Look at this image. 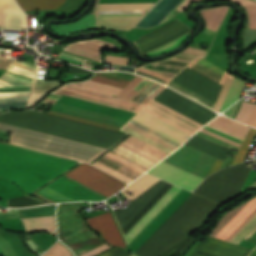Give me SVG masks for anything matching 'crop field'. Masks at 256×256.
Segmentation results:
<instances>
[{
  "label": "crop field",
  "mask_w": 256,
  "mask_h": 256,
  "mask_svg": "<svg viewBox=\"0 0 256 256\" xmlns=\"http://www.w3.org/2000/svg\"><path fill=\"white\" fill-rule=\"evenodd\" d=\"M105 59H106V63H109V64H124V65H126L128 58L106 55Z\"/></svg>",
  "instance_id": "49"
},
{
  "label": "crop field",
  "mask_w": 256,
  "mask_h": 256,
  "mask_svg": "<svg viewBox=\"0 0 256 256\" xmlns=\"http://www.w3.org/2000/svg\"><path fill=\"white\" fill-rule=\"evenodd\" d=\"M22 220L24 222L26 230L44 229L51 233H54V231H55L54 216L29 218V219H22Z\"/></svg>",
  "instance_id": "34"
},
{
  "label": "crop field",
  "mask_w": 256,
  "mask_h": 256,
  "mask_svg": "<svg viewBox=\"0 0 256 256\" xmlns=\"http://www.w3.org/2000/svg\"><path fill=\"white\" fill-rule=\"evenodd\" d=\"M195 57L197 56L180 53L173 58L138 67L136 73L166 83Z\"/></svg>",
  "instance_id": "16"
},
{
  "label": "crop field",
  "mask_w": 256,
  "mask_h": 256,
  "mask_svg": "<svg viewBox=\"0 0 256 256\" xmlns=\"http://www.w3.org/2000/svg\"><path fill=\"white\" fill-rule=\"evenodd\" d=\"M253 105L254 104L243 102L240 111L238 112L237 116L235 117V120L245 123V121L248 119V117L253 109Z\"/></svg>",
  "instance_id": "46"
},
{
  "label": "crop field",
  "mask_w": 256,
  "mask_h": 256,
  "mask_svg": "<svg viewBox=\"0 0 256 256\" xmlns=\"http://www.w3.org/2000/svg\"><path fill=\"white\" fill-rule=\"evenodd\" d=\"M65 0H17L24 11L57 9Z\"/></svg>",
  "instance_id": "33"
},
{
  "label": "crop field",
  "mask_w": 256,
  "mask_h": 256,
  "mask_svg": "<svg viewBox=\"0 0 256 256\" xmlns=\"http://www.w3.org/2000/svg\"><path fill=\"white\" fill-rule=\"evenodd\" d=\"M32 87H0V109L27 108Z\"/></svg>",
  "instance_id": "26"
},
{
  "label": "crop field",
  "mask_w": 256,
  "mask_h": 256,
  "mask_svg": "<svg viewBox=\"0 0 256 256\" xmlns=\"http://www.w3.org/2000/svg\"><path fill=\"white\" fill-rule=\"evenodd\" d=\"M58 58L61 59V60H64V61H68V62H71V63H74V64L81 65V66H82L83 62L85 61L84 58H80V57L70 55V54H67V53H64V52H62L59 55Z\"/></svg>",
  "instance_id": "47"
},
{
  "label": "crop field",
  "mask_w": 256,
  "mask_h": 256,
  "mask_svg": "<svg viewBox=\"0 0 256 256\" xmlns=\"http://www.w3.org/2000/svg\"><path fill=\"white\" fill-rule=\"evenodd\" d=\"M65 47L66 48L64 50L68 52H71L83 57H87L99 62H100L101 47H109V48L117 49V47L112 43L98 41V40L77 42Z\"/></svg>",
  "instance_id": "30"
},
{
  "label": "crop field",
  "mask_w": 256,
  "mask_h": 256,
  "mask_svg": "<svg viewBox=\"0 0 256 256\" xmlns=\"http://www.w3.org/2000/svg\"><path fill=\"white\" fill-rule=\"evenodd\" d=\"M93 80L108 82L112 84L122 85L125 86L128 84L132 79L131 78H125V77H119V76H113V75H107V74H101L98 73L96 77L92 78ZM88 80L80 83H72L68 84L71 86L107 94L114 96L118 91H120L123 87L107 84L103 82ZM149 79H146L144 77L137 76L133 81H131L127 86H125L119 93L115 95V97L128 99L132 94H134L141 86H143ZM157 83L150 80L148 83H146L140 90L144 92H148L152 87H154ZM164 86L161 84H157L153 89H151L146 95L145 93L141 91H137L132 97L129 98L131 101L137 102L141 97H144L140 99L138 102L146 104L154 95H156Z\"/></svg>",
  "instance_id": "7"
},
{
  "label": "crop field",
  "mask_w": 256,
  "mask_h": 256,
  "mask_svg": "<svg viewBox=\"0 0 256 256\" xmlns=\"http://www.w3.org/2000/svg\"><path fill=\"white\" fill-rule=\"evenodd\" d=\"M147 11L95 12L97 28L131 30Z\"/></svg>",
  "instance_id": "18"
},
{
  "label": "crop field",
  "mask_w": 256,
  "mask_h": 256,
  "mask_svg": "<svg viewBox=\"0 0 256 256\" xmlns=\"http://www.w3.org/2000/svg\"><path fill=\"white\" fill-rule=\"evenodd\" d=\"M133 120L179 142L183 143L187 140L186 137H190L192 134L168 123L167 121L145 111H140Z\"/></svg>",
  "instance_id": "21"
},
{
  "label": "crop field",
  "mask_w": 256,
  "mask_h": 256,
  "mask_svg": "<svg viewBox=\"0 0 256 256\" xmlns=\"http://www.w3.org/2000/svg\"><path fill=\"white\" fill-rule=\"evenodd\" d=\"M122 129L167 152L168 154L174 151L180 145L132 120Z\"/></svg>",
  "instance_id": "22"
},
{
  "label": "crop field",
  "mask_w": 256,
  "mask_h": 256,
  "mask_svg": "<svg viewBox=\"0 0 256 256\" xmlns=\"http://www.w3.org/2000/svg\"><path fill=\"white\" fill-rule=\"evenodd\" d=\"M0 122L108 149L126 134L34 111L7 112Z\"/></svg>",
  "instance_id": "3"
},
{
  "label": "crop field",
  "mask_w": 256,
  "mask_h": 256,
  "mask_svg": "<svg viewBox=\"0 0 256 256\" xmlns=\"http://www.w3.org/2000/svg\"><path fill=\"white\" fill-rule=\"evenodd\" d=\"M151 4L99 5L98 11L146 10Z\"/></svg>",
  "instance_id": "39"
},
{
  "label": "crop field",
  "mask_w": 256,
  "mask_h": 256,
  "mask_svg": "<svg viewBox=\"0 0 256 256\" xmlns=\"http://www.w3.org/2000/svg\"><path fill=\"white\" fill-rule=\"evenodd\" d=\"M185 145L190 146L194 149H197L199 151H202L206 154H209L215 158H218L222 161H224L225 157L227 156L229 149L224 148L220 145H217L215 143H212L208 140H205L203 138H200L196 135H193L186 143Z\"/></svg>",
  "instance_id": "31"
},
{
  "label": "crop field",
  "mask_w": 256,
  "mask_h": 256,
  "mask_svg": "<svg viewBox=\"0 0 256 256\" xmlns=\"http://www.w3.org/2000/svg\"><path fill=\"white\" fill-rule=\"evenodd\" d=\"M6 60H7V58L0 56V67L3 65V63H4ZM10 60H11V59H8L0 69H3V68L6 66V64H7ZM13 62H14V61L11 60V61L8 63V65H7L4 69H7ZM15 63H16V61H15L12 65H14ZM12 65H11V66H12ZM11 66H10V67H11ZM10 67H9V68H10ZM9 68H8V69H9Z\"/></svg>",
  "instance_id": "54"
},
{
  "label": "crop field",
  "mask_w": 256,
  "mask_h": 256,
  "mask_svg": "<svg viewBox=\"0 0 256 256\" xmlns=\"http://www.w3.org/2000/svg\"><path fill=\"white\" fill-rule=\"evenodd\" d=\"M193 0H186L179 8L178 10L183 11Z\"/></svg>",
  "instance_id": "59"
},
{
  "label": "crop field",
  "mask_w": 256,
  "mask_h": 256,
  "mask_svg": "<svg viewBox=\"0 0 256 256\" xmlns=\"http://www.w3.org/2000/svg\"><path fill=\"white\" fill-rule=\"evenodd\" d=\"M60 95L51 94L44 102L55 104V102L59 99Z\"/></svg>",
  "instance_id": "55"
},
{
  "label": "crop field",
  "mask_w": 256,
  "mask_h": 256,
  "mask_svg": "<svg viewBox=\"0 0 256 256\" xmlns=\"http://www.w3.org/2000/svg\"><path fill=\"white\" fill-rule=\"evenodd\" d=\"M113 220L114 219L111 213L109 212L100 216L87 219L86 221L88 225L92 227V226H96V225L113 221ZM91 229L98 232L104 240L106 239L108 241L109 244L116 245L126 249V245L123 241V238L119 232V229L115 221L109 222L103 225H99L96 227H92Z\"/></svg>",
  "instance_id": "24"
},
{
  "label": "crop field",
  "mask_w": 256,
  "mask_h": 256,
  "mask_svg": "<svg viewBox=\"0 0 256 256\" xmlns=\"http://www.w3.org/2000/svg\"><path fill=\"white\" fill-rule=\"evenodd\" d=\"M53 111L122 127L135 113L62 95Z\"/></svg>",
  "instance_id": "8"
},
{
  "label": "crop field",
  "mask_w": 256,
  "mask_h": 256,
  "mask_svg": "<svg viewBox=\"0 0 256 256\" xmlns=\"http://www.w3.org/2000/svg\"><path fill=\"white\" fill-rule=\"evenodd\" d=\"M249 256H256V249Z\"/></svg>",
  "instance_id": "61"
},
{
  "label": "crop field",
  "mask_w": 256,
  "mask_h": 256,
  "mask_svg": "<svg viewBox=\"0 0 256 256\" xmlns=\"http://www.w3.org/2000/svg\"><path fill=\"white\" fill-rule=\"evenodd\" d=\"M156 180H158V178L150 176L148 174H144L121 191L130 202L146 188H148L151 184H153ZM179 190L180 188L173 185L162 196V198L124 236L127 244H129L136 237V235L154 218V216L172 199V197Z\"/></svg>",
  "instance_id": "10"
},
{
  "label": "crop field",
  "mask_w": 256,
  "mask_h": 256,
  "mask_svg": "<svg viewBox=\"0 0 256 256\" xmlns=\"http://www.w3.org/2000/svg\"><path fill=\"white\" fill-rule=\"evenodd\" d=\"M66 174L109 196L126 186V183L85 163L78 165Z\"/></svg>",
  "instance_id": "14"
},
{
  "label": "crop field",
  "mask_w": 256,
  "mask_h": 256,
  "mask_svg": "<svg viewBox=\"0 0 256 256\" xmlns=\"http://www.w3.org/2000/svg\"><path fill=\"white\" fill-rule=\"evenodd\" d=\"M184 0H160L153 9H177ZM176 11H150L148 12L137 26L151 27L174 15Z\"/></svg>",
  "instance_id": "29"
},
{
  "label": "crop field",
  "mask_w": 256,
  "mask_h": 256,
  "mask_svg": "<svg viewBox=\"0 0 256 256\" xmlns=\"http://www.w3.org/2000/svg\"><path fill=\"white\" fill-rule=\"evenodd\" d=\"M195 240L196 239L188 236L184 240H182L179 244H177L176 246L172 247L167 252H165L162 256H166L171 250H173L174 248H176L182 243L183 245L175 252L174 255H183L188 250V248L194 243Z\"/></svg>",
  "instance_id": "45"
},
{
  "label": "crop field",
  "mask_w": 256,
  "mask_h": 256,
  "mask_svg": "<svg viewBox=\"0 0 256 256\" xmlns=\"http://www.w3.org/2000/svg\"><path fill=\"white\" fill-rule=\"evenodd\" d=\"M153 100L201 123L206 124L217 116L208 108L168 89L165 88Z\"/></svg>",
  "instance_id": "11"
},
{
  "label": "crop field",
  "mask_w": 256,
  "mask_h": 256,
  "mask_svg": "<svg viewBox=\"0 0 256 256\" xmlns=\"http://www.w3.org/2000/svg\"><path fill=\"white\" fill-rule=\"evenodd\" d=\"M242 99H240L233 106H231L227 111L224 112V114H226L227 116L234 119L235 115L237 114V112L242 104Z\"/></svg>",
  "instance_id": "50"
},
{
  "label": "crop field",
  "mask_w": 256,
  "mask_h": 256,
  "mask_svg": "<svg viewBox=\"0 0 256 256\" xmlns=\"http://www.w3.org/2000/svg\"><path fill=\"white\" fill-rule=\"evenodd\" d=\"M132 255L128 251H124L122 249L114 248L104 254H101L99 256H130Z\"/></svg>",
  "instance_id": "48"
},
{
  "label": "crop field",
  "mask_w": 256,
  "mask_h": 256,
  "mask_svg": "<svg viewBox=\"0 0 256 256\" xmlns=\"http://www.w3.org/2000/svg\"><path fill=\"white\" fill-rule=\"evenodd\" d=\"M36 71L33 65L17 62L0 78V86L33 85Z\"/></svg>",
  "instance_id": "27"
},
{
  "label": "crop field",
  "mask_w": 256,
  "mask_h": 256,
  "mask_svg": "<svg viewBox=\"0 0 256 256\" xmlns=\"http://www.w3.org/2000/svg\"><path fill=\"white\" fill-rule=\"evenodd\" d=\"M255 229H256V228H255ZM255 229H254V230H255ZM254 230H253V231H254ZM249 234H250V233H249ZM249 234H248V235H249ZM248 235H247V236H248ZM247 236H246V237H247ZM246 237H245V238H246ZM245 238H244V239H245ZM246 240H249V241H252V242L256 243V230H255L254 232H252V233L246 238Z\"/></svg>",
  "instance_id": "58"
},
{
  "label": "crop field",
  "mask_w": 256,
  "mask_h": 256,
  "mask_svg": "<svg viewBox=\"0 0 256 256\" xmlns=\"http://www.w3.org/2000/svg\"><path fill=\"white\" fill-rule=\"evenodd\" d=\"M132 256H134V255H132Z\"/></svg>",
  "instance_id": "62"
},
{
  "label": "crop field",
  "mask_w": 256,
  "mask_h": 256,
  "mask_svg": "<svg viewBox=\"0 0 256 256\" xmlns=\"http://www.w3.org/2000/svg\"><path fill=\"white\" fill-rule=\"evenodd\" d=\"M220 206L192 193L135 253L161 256L194 232Z\"/></svg>",
  "instance_id": "2"
},
{
  "label": "crop field",
  "mask_w": 256,
  "mask_h": 256,
  "mask_svg": "<svg viewBox=\"0 0 256 256\" xmlns=\"http://www.w3.org/2000/svg\"><path fill=\"white\" fill-rule=\"evenodd\" d=\"M187 67L205 75L206 77L223 84V81L226 76V72L212 66L208 62H206L204 59L197 57L191 64H189Z\"/></svg>",
  "instance_id": "32"
},
{
  "label": "crop field",
  "mask_w": 256,
  "mask_h": 256,
  "mask_svg": "<svg viewBox=\"0 0 256 256\" xmlns=\"http://www.w3.org/2000/svg\"><path fill=\"white\" fill-rule=\"evenodd\" d=\"M232 166L208 177L195 192L222 203L239 194L250 168ZM247 178V177H246Z\"/></svg>",
  "instance_id": "9"
},
{
  "label": "crop field",
  "mask_w": 256,
  "mask_h": 256,
  "mask_svg": "<svg viewBox=\"0 0 256 256\" xmlns=\"http://www.w3.org/2000/svg\"><path fill=\"white\" fill-rule=\"evenodd\" d=\"M233 78L234 77L230 76L229 74L227 75L226 80H225V82L223 84V87L221 89V92H220V94L218 96V99L216 101V104H215L213 110L219 112V110H220V108H221V106L223 104V101L225 99V96L227 94V91H228V89H229V87L231 85V82H232Z\"/></svg>",
  "instance_id": "44"
},
{
  "label": "crop field",
  "mask_w": 256,
  "mask_h": 256,
  "mask_svg": "<svg viewBox=\"0 0 256 256\" xmlns=\"http://www.w3.org/2000/svg\"><path fill=\"white\" fill-rule=\"evenodd\" d=\"M167 85L172 87L173 89L187 95L188 97H190V98H192V99H194V100H196V101H198V102H200V103H202V104H204V105H206L210 108H213V105H214L213 102H211V101H209V100H207V99H205V98H203V97H201V96H199V95H197V94H195V93H193V92H191V91H189V90H187V89H185V88H183V87H181V86H179V85H177V84H175L171 81Z\"/></svg>",
  "instance_id": "41"
},
{
  "label": "crop field",
  "mask_w": 256,
  "mask_h": 256,
  "mask_svg": "<svg viewBox=\"0 0 256 256\" xmlns=\"http://www.w3.org/2000/svg\"><path fill=\"white\" fill-rule=\"evenodd\" d=\"M254 215H256V197L249 200L240 211L215 236L229 241ZM256 226V216L253 217L231 240L238 244Z\"/></svg>",
  "instance_id": "12"
},
{
  "label": "crop field",
  "mask_w": 256,
  "mask_h": 256,
  "mask_svg": "<svg viewBox=\"0 0 256 256\" xmlns=\"http://www.w3.org/2000/svg\"><path fill=\"white\" fill-rule=\"evenodd\" d=\"M49 114L58 116V117H62V118H67V119L83 122V123H87V124H91V125H96V126L116 130V131H118L120 129L119 127H115V126H111V125H107V124H103V123H99V122H94V121H90V120H86V119H82V118H78V117H73V116H69V115H65V114H61V113H57V112H53V111H50Z\"/></svg>",
  "instance_id": "43"
},
{
  "label": "crop field",
  "mask_w": 256,
  "mask_h": 256,
  "mask_svg": "<svg viewBox=\"0 0 256 256\" xmlns=\"http://www.w3.org/2000/svg\"><path fill=\"white\" fill-rule=\"evenodd\" d=\"M68 73H73V74H91V71H88L86 69L70 65L69 68H68Z\"/></svg>",
  "instance_id": "51"
},
{
  "label": "crop field",
  "mask_w": 256,
  "mask_h": 256,
  "mask_svg": "<svg viewBox=\"0 0 256 256\" xmlns=\"http://www.w3.org/2000/svg\"><path fill=\"white\" fill-rule=\"evenodd\" d=\"M143 109L167 120L168 122L190 132V133H194L196 132L200 127H202L203 125L155 102V101H151L146 107H144Z\"/></svg>",
  "instance_id": "25"
},
{
  "label": "crop field",
  "mask_w": 256,
  "mask_h": 256,
  "mask_svg": "<svg viewBox=\"0 0 256 256\" xmlns=\"http://www.w3.org/2000/svg\"><path fill=\"white\" fill-rule=\"evenodd\" d=\"M118 70H125V71H132V72H134V68H132V67H124V66H119Z\"/></svg>",
  "instance_id": "60"
},
{
  "label": "crop field",
  "mask_w": 256,
  "mask_h": 256,
  "mask_svg": "<svg viewBox=\"0 0 256 256\" xmlns=\"http://www.w3.org/2000/svg\"><path fill=\"white\" fill-rule=\"evenodd\" d=\"M54 207L55 204L37 208L19 209V211L21 218L49 216L54 215Z\"/></svg>",
  "instance_id": "36"
},
{
  "label": "crop field",
  "mask_w": 256,
  "mask_h": 256,
  "mask_svg": "<svg viewBox=\"0 0 256 256\" xmlns=\"http://www.w3.org/2000/svg\"><path fill=\"white\" fill-rule=\"evenodd\" d=\"M108 248H110V247L107 246L106 244H104V245H102V246H100L98 248H95V249H93V250H91V251H89L87 253H84V254H82L80 256H93V255H95V254H97V253H99L101 251H104V250H106Z\"/></svg>",
  "instance_id": "52"
},
{
  "label": "crop field",
  "mask_w": 256,
  "mask_h": 256,
  "mask_svg": "<svg viewBox=\"0 0 256 256\" xmlns=\"http://www.w3.org/2000/svg\"><path fill=\"white\" fill-rule=\"evenodd\" d=\"M256 135V130L251 128V130L248 132L245 140L243 141V143L241 144L239 151L233 161V163L231 165L234 164H238L241 163L246 155L247 149L251 143V141L253 140L254 136Z\"/></svg>",
  "instance_id": "40"
},
{
  "label": "crop field",
  "mask_w": 256,
  "mask_h": 256,
  "mask_svg": "<svg viewBox=\"0 0 256 256\" xmlns=\"http://www.w3.org/2000/svg\"><path fill=\"white\" fill-rule=\"evenodd\" d=\"M0 129L12 132L11 144L85 162L106 150L3 123Z\"/></svg>",
  "instance_id": "5"
},
{
  "label": "crop field",
  "mask_w": 256,
  "mask_h": 256,
  "mask_svg": "<svg viewBox=\"0 0 256 256\" xmlns=\"http://www.w3.org/2000/svg\"><path fill=\"white\" fill-rule=\"evenodd\" d=\"M148 172L189 190H194L203 180L201 177L171 166L163 161Z\"/></svg>",
  "instance_id": "19"
},
{
  "label": "crop field",
  "mask_w": 256,
  "mask_h": 256,
  "mask_svg": "<svg viewBox=\"0 0 256 256\" xmlns=\"http://www.w3.org/2000/svg\"><path fill=\"white\" fill-rule=\"evenodd\" d=\"M163 161L205 178L215 158L183 145Z\"/></svg>",
  "instance_id": "15"
},
{
  "label": "crop field",
  "mask_w": 256,
  "mask_h": 256,
  "mask_svg": "<svg viewBox=\"0 0 256 256\" xmlns=\"http://www.w3.org/2000/svg\"><path fill=\"white\" fill-rule=\"evenodd\" d=\"M187 50H191V51H195V52H199V53H203V54L206 53L205 51H202V50H200V49H194V48H191V47H189ZM187 50H184L183 52L203 56V54H199V53H195V52H191V51H187Z\"/></svg>",
  "instance_id": "57"
},
{
  "label": "crop field",
  "mask_w": 256,
  "mask_h": 256,
  "mask_svg": "<svg viewBox=\"0 0 256 256\" xmlns=\"http://www.w3.org/2000/svg\"><path fill=\"white\" fill-rule=\"evenodd\" d=\"M55 92L80 98V99H84V100H88V101H92V102H96V103L107 105V106L131 111V112H135V113H137L144 106L143 104L134 103L131 101H127V100L79 89V88H75L67 85H64L63 87H61Z\"/></svg>",
  "instance_id": "17"
},
{
  "label": "crop field",
  "mask_w": 256,
  "mask_h": 256,
  "mask_svg": "<svg viewBox=\"0 0 256 256\" xmlns=\"http://www.w3.org/2000/svg\"><path fill=\"white\" fill-rule=\"evenodd\" d=\"M61 84V81H36L32 98H43L49 90Z\"/></svg>",
  "instance_id": "38"
},
{
  "label": "crop field",
  "mask_w": 256,
  "mask_h": 256,
  "mask_svg": "<svg viewBox=\"0 0 256 256\" xmlns=\"http://www.w3.org/2000/svg\"><path fill=\"white\" fill-rule=\"evenodd\" d=\"M221 164H222V161L216 159V161H215V163H214L213 167L211 168V170H210V172H209L208 175H210L211 173H213V172L219 170Z\"/></svg>",
  "instance_id": "56"
},
{
  "label": "crop field",
  "mask_w": 256,
  "mask_h": 256,
  "mask_svg": "<svg viewBox=\"0 0 256 256\" xmlns=\"http://www.w3.org/2000/svg\"><path fill=\"white\" fill-rule=\"evenodd\" d=\"M0 152L70 168L76 161L0 143ZM0 153V177L32 193L67 168Z\"/></svg>",
  "instance_id": "1"
},
{
  "label": "crop field",
  "mask_w": 256,
  "mask_h": 256,
  "mask_svg": "<svg viewBox=\"0 0 256 256\" xmlns=\"http://www.w3.org/2000/svg\"><path fill=\"white\" fill-rule=\"evenodd\" d=\"M228 7H217L215 9H207L204 11H201V15L204 16L207 27L217 30Z\"/></svg>",
  "instance_id": "35"
},
{
  "label": "crop field",
  "mask_w": 256,
  "mask_h": 256,
  "mask_svg": "<svg viewBox=\"0 0 256 256\" xmlns=\"http://www.w3.org/2000/svg\"><path fill=\"white\" fill-rule=\"evenodd\" d=\"M233 1L246 6L249 20H250V27L256 28V2H253L250 0H233Z\"/></svg>",
  "instance_id": "42"
},
{
  "label": "crop field",
  "mask_w": 256,
  "mask_h": 256,
  "mask_svg": "<svg viewBox=\"0 0 256 256\" xmlns=\"http://www.w3.org/2000/svg\"><path fill=\"white\" fill-rule=\"evenodd\" d=\"M40 194L52 200H72V199H100L101 197L65 180L61 179L50 185Z\"/></svg>",
  "instance_id": "20"
},
{
  "label": "crop field",
  "mask_w": 256,
  "mask_h": 256,
  "mask_svg": "<svg viewBox=\"0 0 256 256\" xmlns=\"http://www.w3.org/2000/svg\"><path fill=\"white\" fill-rule=\"evenodd\" d=\"M0 28L26 29L25 14L15 0H0Z\"/></svg>",
  "instance_id": "28"
},
{
  "label": "crop field",
  "mask_w": 256,
  "mask_h": 256,
  "mask_svg": "<svg viewBox=\"0 0 256 256\" xmlns=\"http://www.w3.org/2000/svg\"><path fill=\"white\" fill-rule=\"evenodd\" d=\"M114 151L146 166L150 167L166 153L135 138L130 137ZM129 183L147 168L113 152L112 150L92 164Z\"/></svg>",
  "instance_id": "4"
},
{
  "label": "crop field",
  "mask_w": 256,
  "mask_h": 256,
  "mask_svg": "<svg viewBox=\"0 0 256 256\" xmlns=\"http://www.w3.org/2000/svg\"><path fill=\"white\" fill-rule=\"evenodd\" d=\"M244 84L245 83L240 82L236 78H234L233 83L229 89V92L227 94V97L224 101V104L220 112H222L223 110H225L227 107H229L231 104H233L235 101L238 100L239 94Z\"/></svg>",
  "instance_id": "37"
},
{
  "label": "crop field",
  "mask_w": 256,
  "mask_h": 256,
  "mask_svg": "<svg viewBox=\"0 0 256 256\" xmlns=\"http://www.w3.org/2000/svg\"><path fill=\"white\" fill-rule=\"evenodd\" d=\"M246 124L256 128V104H255V107L253 109V112H252L251 116L246 121Z\"/></svg>",
  "instance_id": "53"
},
{
  "label": "crop field",
  "mask_w": 256,
  "mask_h": 256,
  "mask_svg": "<svg viewBox=\"0 0 256 256\" xmlns=\"http://www.w3.org/2000/svg\"><path fill=\"white\" fill-rule=\"evenodd\" d=\"M83 206L75 202L59 204L57 209L58 236L75 252L76 256L104 244L86 227L83 218L77 213Z\"/></svg>",
  "instance_id": "6"
},
{
  "label": "crop field",
  "mask_w": 256,
  "mask_h": 256,
  "mask_svg": "<svg viewBox=\"0 0 256 256\" xmlns=\"http://www.w3.org/2000/svg\"><path fill=\"white\" fill-rule=\"evenodd\" d=\"M214 121L219 122V123H221V124H224V125H226V126L232 127V128L237 129V130H239V131H242V132H244V133H246V134H247V132L249 131L248 126L239 124V123H237V122H235V121H233V120H231V119H228V118H226V117H224V116H218V117H216V118L214 119ZM214 121H211L210 123L215 124V125H217V126H219V127H222V128H224V129H227V130H229V131H231V132H234V133H236V134H239V135H241V136H243V137H245V135H246V134H244V133H242V132H239V131L234 130V129L229 128V127H226V126L221 125V124H219V123H216V122H214ZM210 123H209L207 126L212 127V128H214V129H217V130L222 131V132H224V133H226V134H229V135H231V136H234V137H236V138H239V139L243 140V137L238 136V135H236V134H234V133H231V132H229V131H226V130H224V129H222V128H219V127H217V126H214V125H212V124H210ZM207 126H204V127L201 129V131L206 132V133H208V134H210V135H213V136H215V137H218V138H220V139H223V140H225V141H228V142H230V143H232V144H235V145H237V146H240V144H241V142H242L241 140L236 139V138H234V137H231V136H229V135H226V134H224V133H222V132H219V131L214 130V129H212V128H209V127H207ZM201 131H199L198 133H196V135L201 136V137H203V138H205V139H208V140H210V141H213V142H215V143H217V144H220V145H222V146H225V147H227V148H229V149L238 150V148H239V147H237V146H235V145H232V144H230V143H228V142H225V141H223V140H220V139H218V138H215V137H213V136H210V135H208V134H206V133H203V132H201Z\"/></svg>",
  "instance_id": "13"
},
{
  "label": "crop field",
  "mask_w": 256,
  "mask_h": 256,
  "mask_svg": "<svg viewBox=\"0 0 256 256\" xmlns=\"http://www.w3.org/2000/svg\"><path fill=\"white\" fill-rule=\"evenodd\" d=\"M196 251H200L213 256H247L251 249L208 237L204 244L200 243ZM191 256L205 255L195 253L194 251Z\"/></svg>",
  "instance_id": "23"
}]
</instances>
